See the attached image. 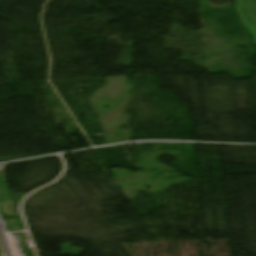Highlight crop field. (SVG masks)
Segmentation results:
<instances>
[{"instance_id":"1","label":"crop field","mask_w":256,"mask_h":256,"mask_svg":"<svg viewBox=\"0 0 256 256\" xmlns=\"http://www.w3.org/2000/svg\"><path fill=\"white\" fill-rule=\"evenodd\" d=\"M237 9L256 45V0H236Z\"/></svg>"}]
</instances>
